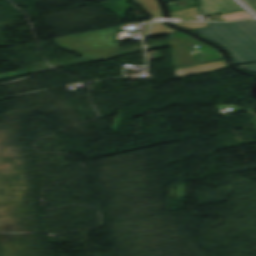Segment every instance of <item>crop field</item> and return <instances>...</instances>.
I'll return each instance as SVG.
<instances>
[{"mask_svg": "<svg viewBox=\"0 0 256 256\" xmlns=\"http://www.w3.org/2000/svg\"><path fill=\"white\" fill-rule=\"evenodd\" d=\"M204 16L243 11L232 0H198Z\"/></svg>", "mask_w": 256, "mask_h": 256, "instance_id": "3", "label": "crop field"}, {"mask_svg": "<svg viewBox=\"0 0 256 256\" xmlns=\"http://www.w3.org/2000/svg\"><path fill=\"white\" fill-rule=\"evenodd\" d=\"M246 12V11H245ZM245 12H240V13H231V14H226V15H220L224 21H233V20H241V19H249L252 18Z\"/></svg>", "mask_w": 256, "mask_h": 256, "instance_id": "7", "label": "crop field"}, {"mask_svg": "<svg viewBox=\"0 0 256 256\" xmlns=\"http://www.w3.org/2000/svg\"><path fill=\"white\" fill-rule=\"evenodd\" d=\"M244 1L247 2L251 7L256 9V0H244Z\"/></svg>", "mask_w": 256, "mask_h": 256, "instance_id": "10", "label": "crop field"}, {"mask_svg": "<svg viewBox=\"0 0 256 256\" xmlns=\"http://www.w3.org/2000/svg\"><path fill=\"white\" fill-rule=\"evenodd\" d=\"M241 69L256 73V64L240 66Z\"/></svg>", "mask_w": 256, "mask_h": 256, "instance_id": "9", "label": "crop field"}, {"mask_svg": "<svg viewBox=\"0 0 256 256\" xmlns=\"http://www.w3.org/2000/svg\"><path fill=\"white\" fill-rule=\"evenodd\" d=\"M172 63L175 69L222 60L223 57L218 50L212 48L182 32L168 34ZM200 47L195 48L193 46ZM198 51L200 61L192 56V52Z\"/></svg>", "mask_w": 256, "mask_h": 256, "instance_id": "2", "label": "crop field"}, {"mask_svg": "<svg viewBox=\"0 0 256 256\" xmlns=\"http://www.w3.org/2000/svg\"><path fill=\"white\" fill-rule=\"evenodd\" d=\"M225 67H227V64H226L225 60H222V61L202 64V65L177 69L175 71H176L177 77H179V76L190 75V74H195V73H200V72H206V71H211V70H216V69H222Z\"/></svg>", "mask_w": 256, "mask_h": 256, "instance_id": "4", "label": "crop field"}, {"mask_svg": "<svg viewBox=\"0 0 256 256\" xmlns=\"http://www.w3.org/2000/svg\"><path fill=\"white\" fill-rule=\"evenodd\" d=\"M171 1H176V0H166V2H171Z\"/></svg>", "mask_w": 256, "mask_h": 256, "instance_id": "11", "label": "crop field"}, {"mask_svg": "<svg viewBox=\"0 0 256 256\" xmlns=\"http://www.w3.org/2000/svg\"><path fill=\"white\" fill-rule=\"evenodd\" d=\"M172 23L187 29L208 27L206 23H190V22H172Z\"/></svg>", "mask_w": 256, "mask_h": 256, "instance_id": "8", "label": "crop field"}, {"mask_svg": "<svg viewBox=\"0 0 256 256\" xmlns=\"http://www.w3.org/2000/svg\"><path fill=\"white\" fill-rule=\"evenodd\" d=\"M171 20L196 21V7L171 13Z\"/></svg>", "mask_w": 256, "mask_h": 256, "instance_id": "5", "label": "crop field"}, {"mask_svg": "<svg viewBox=\"0 0 256 256\" xmlns=\"http://www.w3.org/2000/svg\"><path fill=\"white\" fill-rule=\"evenodd\" d=\"M207 24L192 31L230 51L235 65L256 62V20Z\"/></svg>", "mask_w": 256, "mask_h": 256, "instance_id": "1", "label": "crop field"}, {"mask_svg": "<svg viewBox=\"0 0 256 256\" xmlns=\"http://www.w3.org/2000/svg\"><path fill=\"white\" fill-rule=\"evenodd\" d=\"M175 31H178V30L170 29L160 21H157L152 24V32L147 37L161 35V34L175 32Z\"/></svg>", "mask_w": 256, "mask_h": 256, "instance_id": "6", "label": "crop field"}]
</instances>
